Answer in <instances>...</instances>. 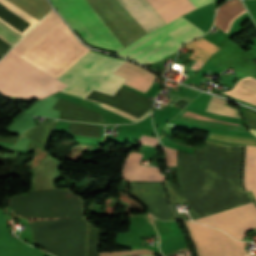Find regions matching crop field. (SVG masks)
<instances>
[{
    "instance_id": "4",
    "label": "crop field",
    "mask_w": 256,
    "mask_h": 256,
    "mask_svg": "<svg viewBox=\"0 0 256 256\" xmlns=\"http://www.w3.org/2000/svg\"><path fill=\"white\" fill-rule=\"evenodd\" d=\"M50 76L10 51L0 60V94L41 99L66 86Z\"/></svg>"
},
{
    "instance_id": "7",
    "label": "crop field",
    "mask_w": 256,
    "mask_h": 256,
    "mask_svg": "<svg viewBox=\"0 0 256 256\" xmlns=\"http://www.w3.org/2000/svg\"><path fill=\"white\" fill-rule=\"evenodd\" d=\"M129 195L147 207L148 212L161 220H176L167 202L162 182L129 181Z\"/></svg>"
},
{
    "instance_id": "5",
    "label": "crop field",
    "mask_w": 256,
    "mask_h": 256,
    "mask_svg": "<svg viewBox=\"0 0 256 256\" xmlns=\"http://www.w3.org/2000/svg\"><path fill=\"white\" fill-rule=\"evenodd\" d=\"M54 8L65 21L91 46L100 49L118 51L123 46L86 0H50Z\"/></svg>"
},
{
    "instance_id": "3",
    "label": "crop field",
    "mask_w": 256,
    "mask_h": 256,
    "mask_svg": "<svg viewBox=\"0 0 256 256\" xmlns=\"http://www.w3.org/2000/svg\"><path fill=\"white\" fill-rule=\"evenodd\" d=\"M201 31L181 16L140 37L117 54L143 64L155 62L176 52L184 42L205 33Z\"/></svg>"
},
{
    "instance_id": "8",
    "label": "crop field",
    "mask_w": 256,
    "mask_h": 256,
    "mask_svg": "<svg viewBox=\"0 0 256 256\" xmlns=\"http://www.w3.org/2000/svg\"><path fill=\"white\" fill-rule=\"evenodd\" d=\"M147 33L165 22L146 0H118Z\"/></svg>"
},
{
    "instance_id": "2",
    "label": "crop field",
    "mask_w": 256,
    "mask_h": 256,
    "mask_svg": "<svg viewBox=\"0 0 256 256\" xmlns=\"http://www.w3.org/2000/svg\"><path fill=\"white\" fill-rule=\"evenodd\" d=\"M61 21L52 10L11 51L20 56ZM124 63L120 59L91 51L56 79L67 85L61 92L83 99L93 90L114 96L125 79L112 73Z\"/></svg>"
},
{
    "instance_id": "12",
    "label": "crop field",
    "mask_w": 256,
    "mask_h": 256,
    "mask_svg": "<svg viewBox=\"0 0 256 256\" xmlns=\"http://www.w3.org/2000/svg\"><path fill=\"white\" fill-rule=\"evenodd\" d=\"M58 121L47 123L36 128L28 129L22 135L23 137L31 138L39 142L45 147L50 135L52 134Z\"/></svg>"
},
{
    "instance_id": "17",
    "label": "crop field",
    "mask_w": 256,
    "mask_h": 256,
    "mask_svg": "<svg viewBox=\"0 0 256 256\" xmlns=\"http://www.w3.org/2000/svg\"><path fill=\"white\" fill-rule=\"evenodd\" d=\"M249 130L256 135V130H251V129H249Z\"/></svg>"
},
{
    "instance_id": "11",
    "label": "crop field",
    "mask_w": 256,
    "mask_h": 256,
    "mask_svg": "<svg viewBox=\"0 0 256 256\" xmlns=\"http://www.w3.org/2000/svg\"><path fill=\"white\" fill-rule=\"evenodd\" d=\"M184 47L195 51L190 56L191 59H195L203 62H205L211 54L221 49L203 38L196 40L192 43H189Z\"/></svg>"
},
{
    "instance_id": "14",
    "label": "crop field",
    "mask_w": 256,
    "mask_h": 256,
    "mask_svg": "<svg viewBox=\"0 0 256 256\" xmlns=\"http://www.w3.org/2000/svg\"><path fill=\"white\" fill-rule=\"evenodd\" d=\"M164 148H165L166 166H175L177 150L167 148V147H164Z\"/></svg>"
},
{
    "instance_id": "10",
    "label": "crop field",
    "mask_w": 256,
    "mask_h": 256,
    "mask_svg": "<svg viewBox=\"0 0 256 256\" xmlns=\"http://www.w3.org/2000/svg\"><path fill=\"white\" fill-rule=\"evenodd\" d=\"M244 186L251 191L256 200V146L246 145Z\"/></svg>"
},
{
    "instance_id": "15",
    "label": "crop field",
    "mask_w": 256,
    "mask_h": 256,
    "mask_svg": "<svg viewBox=\"0 0 256 256\" xmlns=\"http://www.w3.org/2000/svg\"><path fill=\"white\" fill-rule=\"evenodd\" d=\"M137 142L146 144V145L157 146V138L155 137L142 135Z\"/></svg>"
},
{
    "instance_id": "13",
    "label": "crop field",
    "mask_w": 256,
    "mask_h": 256,
    "mask_svg": "<svg viewBox=\"0 0 256 256\" xmlns=\"http://www.w3.org/2000/svg\"><path fill=\"white\" fill-rule=\"evenodd\" d=\"M23 35L19 34L12 28L8 27L0 21V40L8 44L9 46L15 45Z\"/></svg>"
},
{
    "instance_id": "18",
    "label": "crop field",
    "mask_w": 256,
    "mask_h": 256,
    "mask_svg": "<svg viewBox=\"0 0 256 256\" xmlns=\"http://www.w3.org/2000/svg\"><path fill=\"white\" fill-rule=\"evenodd\" d=\"M141 256H152V255H141Z\"/></svg>"
},
{
    "instance_id": "1",
    "label": "crop field",
    "mask_w": 256,
    "mask_h": 256,
    "mask_svg": "<svg viewBox=\"0 0 256 256\" xmlns=\"http://www.w3.org/2000/svg\"><path fill=\"white\" fill-rule=\"evenodd\" d=\"M243 145L205 139L204 148L194 153H177L176 171L180 188L165 181L171 207L177 219L187 220L175 206L187 202L192 219L250 203L241 186ZM240 239L256 227L252 203L195 220Z\"/></svg>"
},
{
    "instance_id": "9",
    "label": "crop field",
    "mask_w": 256,
    "mask_h": 256,
    "mask_svg": "<svg viewBox=\"0 0 256 256\" xmlns=\"http://www.w3.org/2000/svg\"><path fill=\"white\" fill-rule=\"evenodd\" d=\"M141 154L130 152L122 169V178L126 180L163 181L156 168L139 164Z\"/></svg>"
},
{
    "instance_id": "16",
    "label": "crop field",
    "mask_w": 256,
    "mask_h": 256,
    "mask_svg": "<svg viewBox=\"0 0 256 256\" xmlns=\"http://www.w3.org/2000/svg\"><path fill=\"white\" fill-rule=\"evenodd\" d=\"M191 2L195 5L196 8H198L206 4L212 3L213 0H191Z\"/></svg>"
},
{
    "instance_id": "6",
    "label": "crop field",
    "mask_w": 256,
    "mask_h": 256,
    "mask_svg": "<svg viewBox=\"0 0 256 256\" xmlns=\"http://www.w3.org/2000/svg\"><path fill=\"white\" fill-rule=\"evenodd\" d=\"M198 256H253L244 250L246 242L235 241L217 229L185 222Z\"/></svg>"
}]
</instances>
